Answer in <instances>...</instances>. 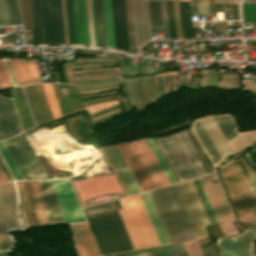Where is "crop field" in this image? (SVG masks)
I'll list each match as a JSON object with an SVG mask.
<instances>
[{"instance_id":"crop-field-72","label":"crop field","mask_w":256,"mask_h":256,"mask_svg":"<svg viewBox=\"0 0 256 256\" xmlns=\"http://www.w3.org/2000/svg\"><path fill=\"white\" fill-rule=\"evenodd\" d=\"M93 59H99V58H93Z\"/></svg>"},{"instance_id":"crop-field-54","label":"crop field","mask_w":256,"mask_h":256,"mask_svg":"<svg viewBox=\"0 0 256 256\" xmlns=\"http://www.w3.org/2000/svg\"><path fill=\"white\" fill-rule=\"evenodd\" d=\"M0 167L2 168V170H3L4 174L6 175L8 181L13 180L11 175H10V173H9V171L7 170L5 164L3 163L1 157H0Z\"/></svg>"},{"instance_id":"crop-field-51","label":"crop field","mask_w":256,"mask_h":256,"mask_svg":"<svg viewBox=\"0 0 256 256\" xmlns=\"http://www.w3.org/2000/svg\"><path fill=\"white\" fill-rule=\"evenodd\" d=\"M43 44H46L42 0H39Z\"/></svg>"},{"instance_id":"crop-field-8","label":"crop field","mask_w":256,"mask_h":256,"mask_svg":"<svg viewBox=\"0 0 256 256\" xmlns=\"http://www.w3.org/2000/svg\"><path fill=\"white\" fill-rule=\"evenodd\" d=\"M21 228L13 182L0 185V241L11 240L7 229Z\"/></svg>"},{"instance_id":"crop-field-63","label":"crop field","mask_w":256,"mask_h":256,"mask_svg":"<svg viewBox=\"0 0 256 256\" xmlns=\"http://www.w3.org/2000/svg\"><path fill=\"white\" fill-rule=\"evenodd\" d=\"M130 90H131V92H132L134 102L137 103V101H136V99H135V96H134V92H133V90H132V80H130Z\"/></svg>"},{"instance_id":"crop-field-47","label":"crop field","mask_w":256,"mask_h":256,"mask_svg":"<svg viewBox=\"0 0 256 256\" xmlns=\"http://www.w3.org/2000/svg\"><path fill=\"white\" fill-rule=\"evenodd\" d=\"M208 75H209V70H207L206 88H207V83H208ZM208 87L218 88L217 75H216V72L213 70H210Z\"/></svg>"},{"instance_id":"crop-field-9","label":"crop field","mask_w":256,"mask_h":256,"mask_svg":"<svg viewBox=\"0 0 256 256\" xmlns=\"http://www.w3.org/2000/svg\"><path fill=\"white\" fill-rule=\"evenodd\" d=\"M47 44H65L61 0H43Z\"/></svg>"},{"instance_id":"crop-field-69","label":"crop field","mask_w":256,"mask_h":256,"mask_svg":"<svg viewBox=\"0 0 256 256\" xmlns=\"http://www.w3.org/2000/svg\"><path fill=\"white\" fill-rule=\"evenodd\" d=\"M146 87H147V85H146ZM146 91H147V93H148L149 97L151 98L152 102H154V99L151 97V95L149 94V92H148V90H147V89H146Z\"/></svg>"},{"instance_id":"crop-field-18","label":"crop field","mask_w":256,"mask_h":256,"mask_svg":"<svg viewBox=\"0 0 256 256\" xmlns=\"http://www.w3.org/2000/svg\"><path fill=\"white\" fill-rule=\"evenodd\" d=\"M0 140L22 132L10 99L0 97Z\"/></svg>"},{"instance_id":"crop-field-23","label":"crop field","mask_w":256,"mask_h":256,"mask_svg":"<svg viewBox=\"0 0 256 256\" xmlns=\"http://www.w3.org/2000/svg\"><path fill=\"white\" fill-rule=\"evenodd\" d=\"M31 189H32V196H33V206H34V213L37 220V224L40 226L47 225V219L38 187L37 181H30Z\"/></svg>"},{"instance_id":"crop-field-56","label":"crop field","mask_w":256,"mask_h":256,"mask_svg":"<svg viewBox=\"0 0 256 256\" xmlns=\"http://www.w3.org/2000/svg\"><path fill=\"white\" fill-rule=\"evenodd\" d=\"M11 2H12V5H13V9H14V12H15L17 23L21 24L16 0H11Z\"/></svg>"},{"instance_id":"crop-field-73","label":"crop field","mask_w":256,"mask_h":256,"mask_svg":"<svg viewBox=\"0 0 256 256\" xmlns=\"http://www.w3.org/2000/svg\"><path fill=\"white\" fill-rule=\"evenodd\" d=\"M149 98V97H148ZM150 100V99H149ZM151 101V100H150ZM152 103V102H151Z\"/></svg>"},{"instance_id":"crop-field-19","label":"crop field","mask_w":256,"mask_h":256,"mask_svg":"<svg viewBox=\"0 0 256 256\" xmlns=\"http://www.w3.org/2000/svg\"><path fill=\"white\" fill-rule=\"evenodd\" d=\"M48 222H64L51 180L38 181Z\"/></svg>"},{"instance_id":"crop-field-41","label":"crop field","mask_w":256,"mask_h":256,"mask_svg":"<svg viewBox=\"0 0 256 256\" xmlns=\"http://www.w3.org/2000/svg\"><path fill=\"white\" fill-rule=\"evenodd\" d=\"M18 190H19V198H20V208H21V214H22V219L24 223V227L28 228L29 223L27 221L26 215L24 213V206H25V190L22 182H16Z\"/></svg>"},{"instance_id":"crop-field-55","label":"crop field","mask_w":256,"mask_h":256,"mask_svg":"<svg viewBox=\"0 0 256 256\" xmlns=\"http://www.w3.org/2000/svg\"><path fill=\"white\" fill-rule=\"evenodd\" d=\"M198 12H203L204 15L208 14L206 3H197Z\"/></svg>"},{"instance_id":"crop-field-52","label":"crop field","mask_w":256,"mask_h":256,"mask_svg":"<svg viewBox=\"0 0 256 256\" xmlns=\"http://www.w3.org/2000/svg\"><path fill=\"white\" fill-rule=\"evenodd\" d=\"M13 86H18L7 59H3Z\"/></svg>"},{"instance_id":"crop-field-22","label":"crop field","mask_w":256,"mask_h":256,"mask_svg":"<svg viewBox=\"0 0 256 256\" xmlns=\"http://www.w3.org/2000/svg\"><path fill=\"white\" fill-rule=\"evenodd\" d=\"M14 138V137H13ZM15 139L20 146L23 154L25 155L27 161L29 162L32 170L34 171L37 179L47 178L45 172L43 171L40 163L38 162L36 156L34 155L32 149L30 148L27 140L25 139L23 133L15 136Z\"/></svg>"},{"instance_id":"crop-field-57","label":"crop field","mask_w":256,"mask_h":256,"mask_svg":"<svg viewBox=\"0 0 256 256\" xmlns=\"http://www.w3.org/2000/svg\"><path fill=\"white\" fill-rule=\"evenodd\" d=\"M249 179L251 181L250 185L252 187V190L255 194V197H256V175H253V176H249Z\"/></svg>"},{"instance_id":"crop-field-31","label":"crop field","mask_w":256,"mask_h":256,"mask_svg":"<svg viewBox=\"0 0 256 256\" xmlns=\"http://www.w3.org/2000/svg\"><path fill=\"white\" fill-rule=\"evenodd\" d=\"M96 21L99 47L106 48L103 22L102 0H95Z\"/></svg>"},{"instance_id":"crop-field-58","label":"crop field","mask_w":256,"mask_h":256,"mask_svg":"<svg viewBox=\"0 0 256 256\" xmlns=\"http://www.w3.org/2000/svg\"><path fill=\"white\" fill-rule=\"evenodd\" d=\"M154 78H155V76H151L150 84H151V88H152L153 92L155 93V95H156V96L158 97V99H159V98H161V97H160L159 93L157 92V90H156V88H155V86H154Z\"/></svg>"},{"instance_id":"crop-field-53","label":"crop field","mask_w":256,"mask_h":256,"mask_svg":"<svg viewBox=\"0 0 256 256\" xmlns=\"http://www.w3.org/2000/svg\"><path fill=\"white\" fill-rule=\"evenodd\" d=\"M62 8H63V18H64L65 39H66V44H68L67 25H66V12H65V0H62Z\"/></svg>"},{"instance_id":"crop-field-33","label":"crop field","mask_w":256,"mask_h":256,"mask_svg":"<svg viewBox=\"0 0 256 256\" xmlns=\"http://www.w3.org/2000/svg\"><path fill=\"white\" fill-rule=\"evenodd\" d=\"M126 1L127 19H128V31H129V45L130 47H136L135 43V30H134V16H133V3L132 0Z\"/></svg>"},{"instance_id":"crop-field-45","label":"crop field","mask_w":256,"mask_h":256,"mask_svg":"<svg viewBox=\"0 0 256 256\" xmlns=\"http://www.w3.org/2000/svg\"><path fill=\"white\" fill-rule=\"evenodd\" d=\"M66 12H67V25H68L69 44H73L72 25H71V13H70V0H66Z\"/></svg>"},{"instance_id":"crop-field-46","label":"crop field","mask_w":256,"mask_h":256,"mask_svg":"<svg viewBox=\"0 0 256 256\" xmlns=\"http://www.w3.org/2000/svg\"><path fill=\"white\" fill-rule=\"evenodd\" d=\"M161 4H162L163 23H164V28H163L164 38L169 39L165 0H161Z\"/></svg>"},{"instance_id":"crop-field-25","label":"crop field","mask_w":256,"mask_h":256,"mask_svg":"<svg viewBox=\"0 0 256 256\" xmlns=\"http://www.w3.org/2000/svg\"><path fill=\"white\" fill-rule=\"evenodd\" d=\"M26 84L40 82L41 77L35 60H17Z\"/></svg>"},{"instance_id":"crop-field-29","label":"crop field","mask_w":256,"mask_h":256,"mask_svg":"<svg viewBox=\"0 0 256 256\" xmlns=\"http://www.w3.org/2000/svg\"><path fill=\"white\" fill-rule=\"evenodd\" d=\"M216 245L221 256H241L233 237L218 239Z\"/></svg>"},{"instance_id":"crop-field-14","label":"crop field","mask_w":256,"mask_h":256,"mask_svg":"<svg viewBox=\"0 0 256 256\" xmlns=\"http://www.w3.org/2000/svg\"><path fill=\"white\" fill-rule=\"evenodd\" d=\"M219 221L233 220L213 173L200 178Z\"/></svg>"},{"instance_id":"crop-field-6","label":"crop field","mask_w":256,"mask_h":256,"mask_svg":"<svg viewBox=\"0 0 256 256\" xmlns=\"http://www.w3.org/2000/svg\"><path fill=\"white\" fill-rule=\"evenodd\" d=\"M191 129L213 167L232 154L212 116L194 121Z\"/></svg>"},{"instance_id":"crop-field-13","label":"crop field","mask_w":256,"mask_h":256,"mask_svg":"<svg viewBox=\"0 0 256 256\" xmlns=\"http://www.w3.org/2000/svg\"><path fill=\"white\" fill-rule=\"evenodd\" d=\"M118 147L126 162L128 163L132 173L134 174L137 182L139 183L142 191L154 189L155 186L147 171L145 170L141 160L139 159L136 151L134 150L131 142L120 144Z\"/></svg>"},{"instance_id":"crop-field-7","label":"crop field","mask_w":256,"mask_h":256,"mask_svg":"<svg viewBox=\"0 0 256 256\" xmlns=\"http://www.w3.org/2000/svg\"><path fill=\"white\" fill-rule=\"evenodd\" d=\"M71 13L74 44L98 47L94 0H71Z\"/></svg>"},{"instance_id":"crop-field-15","label":"crop field","mask_w":256,"mask_h":256,"mask_svg":"<svg viewBox=\"0 0 256 256\" xmlns=\"http://www.w3.org/2000/svg\"><path fill=\"white\" fill-rule=\"evenodd\" d=\"M116 50L129 52L124 0H111Z\"/></svg>"},{"instance_id":"crop-field-26","label":"crop field","mask_w":256,"mask_h":256,"mask_svg":"<svg viewBox=\"0 0 256 256\" xmlns=\"http://www.w3.org/2000/svg\"><path fill=\"white\" fill-rule=\"evenodd\" d=\"M103 11H104L107 48L115 50L110 0H103Z\"/></svg>"},{"instance_id":"crop-field-39","label":"crop field","mask_w":256,"mask_h":256,"mask_svg":"<svg viewBox=\"0 0 256 256\" xmlns=\"http://www.w3.org/2000/svg\"><path fill=\"white\" fill-rule=\"evenodd\" d=\"M0 152L3 156V158L5 159L7 165L9 166L11 172L13 173L14 177L16 180H20L23 179L21 174L19 173L16 165L14 164L12 158L10 157L7 149L5 148L3 142L0 143Z\"/></svg>"},{"instance_id":"crop-field-42","label":"crop field","mask_w":256,"mask_h":256,"mask_svg":"<svg viewBox=\"0 0 256 256\" xmlns=\"http://www.w3.org/2000/svg\"><path fill=\"white\" fill-rule=\"evenodd\" d=\"M11 82L9 80L6 68L4 66L3 60H0V88H6V87H10Z\"/></svg>"},{"instance_id":"crop-field-5","label":"crop field","mask_w":256,"mask_h":256,"mask_svg":"<svg viewBox=\"0 0 256 256\" xmlns=\"http://www.w3.org/2000/svg\"><path fill=\"white\" fill-rule=\"evenodd\" d=\"M119 213L135 249L161 245L139 194L123 198Z\"/></svg>"},{"instance_id":"crop-field-34","label":"crop field","mask_w":256,"mask_h":256,"mask_svg":"<svg viewBox=\"0 0 256 256\" xmlns=\"http://www.w3.org/2000/svg\"><path fill=\"white\" fill-rule=\"evenodd\" d=\"M154 249L157 253V256H171L185 253L184 246L182 243L165 247H157Z\"/></svg>"},{"instance_id":"crop-field-24","label":"crop field","mask_w":256,"mask_h":256,"mask_svg":"<svg viewBox=\"0 0 256 256\" xmlns=\"http://www.w3.org/2000/svg\"><path fill=\"white\" fill-rule=\"evenodd\" d=\"M182 39H193L189 2L179 1Z\"/></svg>"},{"instance_id":"crop-field-30","label":"crop field","mask_w":256,"mask_h":256,"mask_svg":"<svg viewBox=\"0 0 256 256\" xmlns=\"http://www.w3.org/2000/svg\"><path fill=\"white\" fill-rule=\"evenodd\" d=\"M148 3L151 28H155V37L157 38L156 28L162 27L160 0H148Z\"/></svg>"},{"instance_id":"crop-field-28","label":"crop field","mask_w":256,"mask_h":256,"mask_svg":"<svg viewBox=\"0 0 256 256\" xmlns=\"http://www.w3.org/2000/svg\"><path fill=\"white\" fill-rule=\"evenodd\" d=\"M219 128L221 129L226 141H230L239 136L235 126L233 125L229 115L214 116Z\"/></svg>"},{"instance_id":"crop-field-1","label":"crop field","mask_w":256,"mask_h":256,"mask_svg":"<svg viewBox=\"0 0 256 256\" xmlns=\"http://www.w3.org/2000/svg\"><path fill=\"white\" fill-rule=\"evenodd\" d=\"M83 211L102 255L134 249L113 201Z\"/></svg>"},{"instance_id":"crop-field-38","label":"crop field","mask_w":256,"mask_h":256,"mask_svg":"<svg viewBox=\"0 0 256 256\" xmlns=\"http://www.w3.org/2000/svg\"><path fill=\"white\" fill-rule=\"evenodd\" d=\"M243 22L256 23V4L243 3Z\"/></svg>"},{"instance_id":"crop-field-66","label":"crop field","mask_w":256,"mask_h":256,"mask_svg":"<svg viewBox=\"0 0 256 256\" xmlns=\"http://www.w3.org/2000/svg\"><path fill=\"white\" fill-rule=\"evenodd\" d=\"M115 82H118V81H115ZM108 83H111V82H108ZM100 84H104V83H100ZM92 85H97V84H92ZM83 86H91V85H83ZM83 86H78V87H83ZM97 86H100V85H97ZM91 87H94V86H91ZM83 88H85V87H83Z\"/></svg>"},{"instance_id":"crop-field-32","label":"crop field","mask_w":256,"mask_h":256,"mask_svg":"<svg viewBox=\"0 0 256 256\" xmlns=\"http://www.w3.org/2000/svg\"><path fill=\"white\" fill-rule=\"evenodd\" d=\"M145 140L148 142L149 146L151 147L154 155L156 156L159 164L161 165V167H162L165 175L167 176L170 184L176 183V180H175L173 174L171 173L169 167L167 166L165 160L163 159V157H162L161 153L159 152L157 146L155 145L153 139H145Z\"/></svg>"},{"instance_id":"crop-field-20","label":"crop field","mask_w":256,"mask_h":256,"mask_svg":"<svg viewBox=\"0 0 256 256\" xmlns=\"http://www.w3.org/2000/svg\"><path fill=\"white\" fill-rule=\"evenodd\" d=\"M6 148L11 154L13 160L15 161L17 167L22 173L25 180L36 179L33 171L31 170L28 162L26 161L24 155L22 154L19 146L17 145L15 139L12 137L4 141Z\"/></svg>"},{"instance_id":"crop-field-40","label":"crop field","mask_w":256,"mask_h":256,"mask_svg":"<svg viewBox=\"0 0 256 256\" xmlns=\"http://www.w3.org/2000/svg\"><path fill=\"white\" fill-rule=\"evenodd\" d=\"M166 4H167L170 39L176 40L173 1L166 0Z\"/></svg>"},{"instance_id":"crop-field-67","label":"crop field","mask_w":256,"mask_h":256,"mask_svg":"<svg viewBox=\"0 0 256 256\" xmlns=\"http://www.w3.org/2000/svg\"><path fill=\"white\" fill-rule=\"evenodd\" d=\"M148 84H149V76H148ZM148 84H147V85H148ZM148 89H149V87H148ZM151 91H152V90H151ZM151 91H150V89H149V92H150V93H151ZM152 93H153V92H152ZM153 94H154V93H153ZM151 95H152V94H151ZM152 96H153V95H152ZM153 97H154V96H153ZM155 97H156V96H155ZM154 99H155V98H154ZM156 99H157V97H156ZM156 99H155V101L158 100V99H157V100H156Z\"/></svg>"},{"instance_id":"crop-field-16","label":"crop field","mask_w":256,"mask_h":256,"mask_svg":"<svg viewBox=\"0 0 256 256\" xmlns=\"http://www.w3.org/2000/svg\"><path fill=\"white\" fill-rule=\"evenodd\" d=\"M137 49L151 40L147 0H133Z\"/></svg>"},{"instance_id":"crop-field-10","label":"crop field","mask_w":256,"mask_h":256,"mask_svg":"<svg viewBox=\"0 0 256 256\" xmlns=\"http://www.w3.org/2000/svg\"><path fill=\"white\" fill-rule=\"evenodd\" d=\"M66 223L85 221L80 210L78 202L75 198L73 190L67 179L52 180Z\"/></svg>"},{"instance_id":"crop-field-61","label":"crop field","mask_w":256,"mask_h":256,"mask_svg":"<svg viewBox=\"0 0 256 256\" xmlns=\"http://www.w3.org/2000/svg\"><path fill=\"white\" fill-rule=\"evenodd\" d=\"M118 97V96H117ZM111 98H113V97H111ZM106 99H108V98H106ZM121 99V101H122V104H123V106H124V108H125V112H128L127 111V109H126V106H125V102H124V99H122V98H120ZM102 100V99H101ZM95 101H97V100H95ZM90 102H92V101H90ZM84 103H87L86 101H84Z\"/></svg>"},{"instance_id":"crop-field-2","label":"crop field","mask_w":256,"mask_h":256,"mask_svg":"<svg viewBox=\"0 0 256 256\" xmlns=\"http://www.w3.org/2000/svg\"><path fill=\"white\" fill-rule=\"evenodd\" d=\"M151 192L173 243L200 238L177 184Z\"/></svg>"},{"instance_id":"crop-field-65","label":"crop field","mask_w":256,"mask_h":256,"mask_svg":"<svg viewBox=\"0 0 256 256\" xmlns=\"http://www.w3.org/2000/svg\"><path fill=\"white\" fill-rule=\"evenodd\" d=\"M11 100H12V103H13V105H14V102H13V99L11 98ZM14 108H15V111H16V114H17V116H18V113H17V110H16V107H15V105H14ZM18 119H19V116H18ZM19 122H20V119H19ZM20 125H21V127H22V124H21V122H20ZM22 130H23V127H22ZM24 131V130H23Z\"/></svg>"},{"instance_id":"crop-field-11","label":"crop field","mask_w":256,"mask_h":256,"mask_svg":"<svg viewBox=\"0 0 256 256\" xmlns=\"http://www.w3.org/2000/svg\"><path fill=\"white\" fill-rule=\"evenodd\" d=\"M178 185L181 189V192L186 201V204L191 213V216L193 218V221L196 225V228L198 230L200 237L201 238L206 237L207 234L205 232L204 226L209 224L210 222L205 213V210L203 208V205L201 203V200L196 191L193 181L191 180V181L179 183Z\"/></svg>"},{"instance_id":"crop-field-37","label":"crop field","mask_w":256,"mask_h":256,"mask_svg":"<svg viewBox=\"0 0 256 256\" xmlns=\"http://www.w3.org/2000/svg\"><path fill=\"white\" fill-rule=\"evenodd\" d=\"M24 29H32L30 0H19Z\"/></svg>"},{"instance_id":"crop-field-12","label":"crop field","mask_w":256,"mask_h":256,"mask_svg":"<svg viewBox=\"0 0 256 256\" xmlns=\"http://www.w3.org/2000/svg\"><path fill=\"white\" fill-rule=\"evenodd\" d=\"M132 144L142 160L146 170L153 180L156 188L169 185V182L159 166L155 156L150 147L144 139L132 141Z\"/></svg>"},{"instance_id":"crop-field-62","label":"crop field","mask_w":256,"mask_h":256,"mask_svg":"<svg viewBox=\"0 0 256 256\" xmlns=\"http://www.w3.org/2000/svg\"><path fill=\"white\" fill-rule=\"evenodd\" d=\"M118 85H120V84L108 86V87H102V88L88 89V90L104 89V88H110V87H114V86H118ZM79 91H86V90H79Z\"/></svg>"},{"instance_id":"crop-field-64","label":"crop field","mask_w":256,"mask_h":256,"mask_svg":"<svg viewBox=\"0 0 256 256\" xmlns=\"http://www.w3.org/2000/svg\"><path fill=\"white\" fill-rule=\"evenodd\" d=\"M127 90L130 94V91H129V80L127 79ZM130 98H131V101H132V105L134 106V103H133V100H132V97H131V94H130Z\"/></svg>"},{"instance_id":"crop-field-49","label":"crop field","mask_w":256,"mask_h":256,"mask_svg":"<svg viewBox=\"0 0 256 256\" xmlns=\"http://www.w3.org/2000/svg\"><path fill=\"white\" fill-rule=\"evenodd\" d=\"M174 7H175V20H176V34H177V40H179L181 39V34H180L178 1H174Z\"/></svg>"},{"instance_id":"crop-field-44","label":"crop field","mask_w":256,"mask_h":256,"mask_svg":"<svg viewBox=\"0 0 256 256\" xmlns=\"http://www.w3.org/2000/svg\"><path fill=\"white\" fill-rule=\"evenodd\" d=\"M3 2H4V6L8 16L9 24L10 25L17 24L10 0H3Z\"/></svg>"},{"instance_id":"crop-field-3","label":"crop field","mask_w":256,"mask_h":256,"mask_svg":"<svg viewBox=\"0 0 256 256\" xmlns=\"http://www.w3.org/2000/svg\"><path fill=\"white\" fill-rule=\"evenodd\" d=\"M237 159L245 168L248 176L256 173V170L247 163L245 158L242 159V157H239ZM237 170H241V167L235 159L234 161L224 165L219 171L222 175ZM221 177L224 181V184L239 219L241 221H246L250 218L255 217L256 200L244 172L241 170L230 174L222 175Z\"/></svg>"},{"instance_id":"crop-field-71","label":"crop field","mask_w":256,"mask_h":256,"mask_svg":"<svg viewBox=\"0 0 256 256\" xmlns=\"http://www.w3.org/2000/svg\"><path fill=\"white\" fill-rule=\"evenodd\" d=\"M106 256H113V255H106Z\"/></svg>"},{"instance_id":"crop-field-50","label":"crop field","mask_w":256,"mask_h":256,"mask_svg":"<svg viewBox=\"0 0 256 256\" xmlns=\"http://www.w3.org/2000/svg\"><path fill=\"white\" fill-rule=\"evenodd\" d=\"M0 25H9L2 0H0Z\"/></svg>"},{"instance_id":"crop-field-60","label":"crop field","mask_w":256,"mask_h":256,"mask_svg":"<svg viewBox=\"0 0 256 256\" xmlns=\"http://www.w3.org/2000/svg\"><path fill=\"white\" fill-rule=\"evenodd\" d=\"M135 85H136V79H135ZM135 85H134V80H133L134 90H135ZM136 90H137V88H136ZM137 92H138V90H137ZM135 94H136L137 100H138V102H139V105H140V107H141L142 102H141V104H140V101H141L140 96H139V99H140V101H139L136 91H135ZM138 95H139V93H138ZM141 108H142V107H141Z\"/></svg>"},{"instance_id":"crop-field-59","label":"crop field","mask_w":256,"mask_h":256,"mask_svg":"<svg viewBox=\"0 0 256 256\" xmlns=\"http://www.w3.org/2000/svg\"><path fill=\"white\" fill-rule=\"evenodd\" d=\"M6 181H7V179L0 168V183L6 182Z\"/></svg>"},{"instance_id":"crop-field-70","label":"crop field","mask_w":256,"mask_h":256,"mask_svg":"<svg viewBox=\"0 0 256 256\" xmlns=\"http://www.w3.org/2000/svg\"><path fill=\"white\" fill-rule=\"evenodd\" d=\"M250 223H252V224H255V225H256V219H254V220L250 221Z\"/></svg>"},{"instance_id":"crop-field-48","label":"crop field","mask_w":256,"mask_h":256,"mask_svg":"<svg viewBox=\"0 0 256 256\" xmlns=\"http://www.w3.org/2000/svg\"><path fill=\"white\" fill-rule=\"evenodd\" d=\"M31 7H32V18H33V28H34V39H35V44H38L37 25H36V11H35V0H31Z\"/></svg>"},{"instance_id":"crop-field-4","label":"crop field","mask_w":256,"mask_h":256,"mask_svg":"<svg viewBox=\"0 0 256 256\" xmlns=\"http://www.w3.org/2000/svg\"><path fill=\"white\" fill-rule=\"evenodd\" d=\"M157 141L179 181L208 174V171L200 161L185 131L169 137L159 138ZM187 154H189L201 175L196 170Z\"/></svg>"},{"instance_id":"crop-field-27","label":"crop field","mask_w":256,"mask_h":256,"mask_svg":"<svg viewBox=\"0 0 256 256\" xmlns=\"http://www.w3.org/2000/svg\"><path fill=\"white\" fill-rule=\"evenodd\" d=\"M116 173L121 180L123 186L125 187L128 195L141 192V189L136 182L134 176L132 175L129 167L116 170Z\"/></svg>"},{"instance_id":"crop-field-43","label":"crop field","mask_w":256,"mask_h":256,"mask_svg":"<svg viewBox=\"0 0 256 256\" xmlns=\"http://www.w3.org/2000/svg\"><path fill=\"white\" fill-rule=\"evenodd\" d=\"M115 256H156L153 252L152 248L131 251V252H124V253H117Z\"/></svg>"},{"instance_id":"crop-field-35","label":"crop field","mask_w":256,"mask_h":256,"mask_svg":"<svg viewBox=\"0 0 256 256\" xmlns=\"http://www.w3.org/2000/svg\"><path fill=\"white\" fill-rule=\"evenodd\" d=\"M195 180H196L197 185H198V187H199V189H200V192H201V194H202V197H203V199H204V202H205L206 207H207V209H208V211H209V214H210V216H211L212 221H213V222L218 221L217 218H216V216H215V213H214V211H213V209H212V206H211V204H210V202H209V200H208V197H207V195H206V193H205V190H204V188H203V186H202V183H201L200 179H199V178H196ZM195 180L193 179V181H194V183H195V186H196V188H197V190H198V187H197V185H196ZM200 192H199V190H198V193H199V195H200V198H201V200H202V203H203V205H204V208H205V210H206V212H207V209H206V207H205V204H204V202H203V199H202V197H201ZM209 214H208V212H207V215H208V217H209V220H210V222L212 223Z\"/></svg>"},{"instance_id":"crop-field-68","label":"crop field","mask_w":256,"mask_h":256,"mask_svg":"<svg viewBox=\"0 0 256 256\" xmlns=\"http://www.w3.org/2000/svg\"><path fill=\"white\" fill-rule=\"evenodd\" d=\"M92 62H103V61H92ZM113 62H117V61H113ZM76 63H83V62H73V64H76Z\"/></svg>"},{"instance_id":"crop-field-36","label":"crop field","mask_w":256,"mask_h":256,"mask_svg":"<svg viewBox=\"0 0 256 256\" xmlns=\"http://www.w3.org/2000/svg\"><path fill=\"white\" fill-rule=\"evenodd\" d=\"M42 85H43L53 118L55 119V118L60 117L61 115H60L51 85L50 84H42Z\"/></svg>"},{"instance_id":"crop-field-21","label":"crop field","mask_w":256,"mask_h":256,"mask_svg":"<svg viewBox=\"0 0 256 256\" xmlns=\"http://www.w3.org/2000/svg\"><path fill=\"white\" fill-rule=\"evenodd\" d=\"M162 245L170 244L148 192L140 194Z\"/></svg>"},{"instance_id":"crop-field-17","label":"crop field","mask_w":256,"mask_h":256,"mask_svg":"<svg viewBox=\"0 0 256 256\" xmlns=\"http://www.w3.org/2000/svg\"><path fill=\"white\" fill-rule=\"evenodd\" d=\"M72 228L74 243L79 256L101 255L87 223H79Z\"/></svg>"}]
</instances>
